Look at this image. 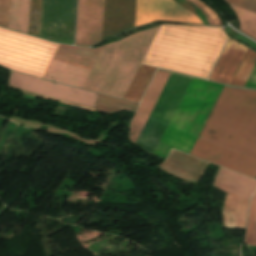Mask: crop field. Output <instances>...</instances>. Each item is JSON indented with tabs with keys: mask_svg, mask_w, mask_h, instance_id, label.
<instances>
[{
	"mask_svg": "<svg viewBox=\"0 0 256 256\" xmlns=\"http://www.w3.org/2000/svg\"><path fill=\"white\" fill-rule=\"evenodd\" d=\"M199 137L190 155L256 178V92L224 87Z\"/></svg>",
	"mask_w": 256,
	"mask_h": 256,
	"instance_id": "1",
	"label": "crop field"
},
{
	"mask_svg": "<svg viewBox=\"0 0 256 256\" xmlns=\"http://www.w3.org/2000/svg\"><path fill=\"white\" fill-rule=\"evenodd\" d=\"M227 39L222 28L161 25L142 64L208 78Z\"/></svg>",
	"mask_w": 256,
	"mask_h": 256,
	"instance_id": "2",
	"label": "crop field"
},
{
	"mask_svg": "<svg viewBox=\"0 0 256 256\" xmlns=\"http://www.w3.org/2000/svg\"><path fill=\"white\" fill-rule=\"evenodd\" d=\"M157 29L103 46L92 70L132 80ZM93 71L83 89L123 98L131 81Z\"/></svg>",
	"mask_w": 256,
	"mask_h": 256,
	"instance_id": "3",
	"label": "crop field"
},
{
	"mask_svg": "<svg viewBox=\"0 0 256 256\" xmlns=\"http://www.w3.org/2000/svg\"><path fill=\"white\" fill-rule=\"evenodd\" d=\"M222 87L191 78L154 155L165 158L170 148L189 154Z\"/></svg>",
	"mask_w": 256,
	"mask_h": 256,
	"instance_id": "4",
	"label": "crop field"
},
{
	"mask_svg": "<svg viewBox=\"0 0 256 256\" xmlns=\"http://www.w3.org/2000/svg\"><path fill=\"white\" fill-rule=\"evenodd\" d=\"M59 45L0 28V64L44 77Z\"/></svg>",
	"mask_w": 256,
	"mask_h": 256,
	"instance_id": "5",
	"label": "crop field"
},
{
	"mask_svg": "<svg viewBox=\"0 0 256 256\" xmlns=\"http://www.w3.org/2000/svg\"><path fill=\"white\" fill-rule=\"evenodd\" d=\"M190 78L171 73L137 144L154 152Z\"/></svg>",
	"mask_w": 256,
	"mask_h": 256,
	"instance_id": "6",
	"label": "crop field"
},
{
	"mask_svg": "<svg viewBox=\"0 0 256 256\" xmlns=\"http://www.w3.org/2000/svg\"><path fill=\"white\" fill-rule=\"evenodd\" d=\"M102 47L91 50L84 47L61 45L54 61L70 64L73 66L91 70ZM52 62L45 78L57 82L82 87L89 70L73 67L70 65Z\"/></svg>",
	"mask_w": 256,
	"mask_h": 256,
	"instance_id": "7",
	"label": "crop field"
},
{
	"mask_svg": "<svg viewBox=\"0 0 256 256\" xmlns=\"http://www.w3.org/2000/svg\"><path fill=\"white\" fill-rule=\"evenodd\" d=\"M76 0H43L40 37L73 44Z\"/></svg>",
	"mask_w": 256,
	"mask_h": 256,
	"instance_id": "8",
	"label": "crop field"
},
{
	"mask_svg": "<svg viewBox=\"0 0 256 256\" xmlns=\"http://www.w3.org/2000/svg\"><path fill=\"white\" fill-rule=\"evenodd\" d=\"M9 86L93 108L97 96L96 93L56 84L16 72H12Z\"/></svg>",
	"mask_w": 256,
	"mask_h": 256,
	"instance_id": "9",
	"label": "crop field"
},
{
	"mask_svg": "<svg viewBox=\"0 0 256 256\" xmlns=\"http://www.w3.org/2000/svg\"><path fill=\"white\" fill-rule=\"evenodd\" d=\"M157 20L203 24L173 0H137L135 27Z\"/></svg>",
	"mask_w": 256,
	"mask_h": 256,
	"instance_id": "10",
	"label": "crop field"
},
{
	"mask_svg": "<svg viewBox=\"0 0 256 256\" xmlns=\"http://www.w3.org/2000/svg\"><path fill=\"white\" fill-rule=\"evenodd\" d=\"M103 0H78L75 44L100 42Z\"/></svg>",
	"mask_w": 256,
	"mask_h": 256,
	"instance_id": "11",
	"label": "crop field"
},
{
	"mask_svg": "<svg viewBox=\"0 0 256 256\" xmlns=\"http://www.w3.org/2000/svg\"><path fill=\"white\" fill-rule=\"evenodd\" d=\"M136 0H105L101 42L134 27Z\"/></svg>",
	"mask_w": 256,
	"mask_h": 256,
	"instance_id": "12",
	"label": "crop field"
},
{
	"mask_svg": "<svg viewBox=\"0 0 256 256\" xmlns=\"http://www.w3.org/2000/svg\"><path fill=\"white\" fill-rule=\"evenodd\" d=\"M170 73L157 70L136 114L134 115L131 126L129 139L136 143Z\"/></svg>",
	"mask_w": 256,
	"mask_h": 256,
	"instance_id": "13",
	"label": "crop field"
},
{
	"mask_svg": "<svg viewBox=\"0 0 256 256\" xmlns=\"http://www.w3.org/2000/svg\"><path fill=\"white\" fill-rule=\"evenodd\" d=\"M247 49L229 38L209 79L230 84Z\"/></svg>",
	"mask_w": 256,
	"mask_h": 256,
	"instance_id": "14",
	"label": "crop field"
},
{
	"mask_svg": "<svg viewBox=\"0 0 256 256\" xmlns=\"http://www.w3.org/2000/svg\"><path fill=\"white\" fill-rule=\"evenodd\" d=\"M205 162L171 150L167 160L158 166L173 175L197 182L207 164Z\"/></svg>",
	"mask_w": 256,
	"mask_h": 256,
	"instance_id": "15",
	"label": "crop field"
},
{
	"mask_svg": "<svg viewBox=\"0 0 256 256\" xmlns=\"http://www.w3.org/2000/svg\"><path fill=\"white\" fill-rule=\"evenodd\" d=\"M214 186L249 201L256 187V181L220 168Z\"/></svg>",
	"mask_w": 256,
	"mask_h": 256,
	"instance_id": "16",
	"label": "crop field"
},
{
	"mask_svg": "<svg viewBox=\"0 0 256 256\" xmlns=\"http://www.w3.org/2000/svg\"><path fill=\"white\" fill-rule=\"evenodd\" d=\"M249 202L227 193L223 218L224 227L245 228Z\"/></svg>",
	"mask_w": 256,
	"mask_h": 256,
	"instance_id": "17",
	"label": "crop field"
},
{
	"mask_svg": "<svg viewBox=\"0 0 256 256\" xmlns=\"http://www.w3.org/2000/svg\"><path fill=\"white\" fill-rule=\"evenodd\" d=\"M155 69L140 65L124 99L139 102Z\"/></svg>",
	"mask_w": 256,
	"mask_h": 256,
	"instance_id": "18",
	"label": "crop field"
},
{
	"mask_svg": "<svg viewBox=\"0 0 256 256\" xmlns=\"http://www.w3.org/2000/svg\"><path fill=\"white\" fill-rule=\"evenodd\" d=\"M137 104L99 95L97 97L96 109L97 112L113 114L118 111L126 110L132 111L135 109Z\"/></svg>",
	"mask_w": 256,
	"mask_h": 256,
	"instance_id": "19",
	"label": "crop field"
},
{
	"mask_svg": "<svg viewBox=\"0 0 256 256\" xmlns=\"http://www.w3.org/2000/svg\"><path fill=\"white\" fill-rule=\"evenodd\" d=\"M229 5L239 17L241 23L240 30L256 39V13L232 4Z\"/></svg>",
	"mask_w": 256,
	"mask_h": 256,
	"instance_id": "20",
	"label": "crop field"
},
{
	"mask_svg": "<svg viewBox=\"0 0 256 256\" xmlns=\"http://www.w3.org/2000/svg\"><path fill=\"white\" fill-rule=\"evenodd\" d=\"M255 63H256V53L248 49L231 84L244 86Z\"/></svg>",
	"mask_w": 256,
	"mask_h": 256,
	"instance_id": "21",
	"label": "crop field"
},
{
	"mask_svg": "<svg viewBox=\"0 0 256 256\" xmlns=\"http://www.w3.org/2000/svg\"><path fill=\"white\" fill-rule=\"evenodd\" d=\"M42 0H31L28 33L38 36L40 31Z\"/></svg>",
	"mask_w": 256,
	"mask_h": 256,
	"instance_id": "22",
	"label": "crop field"
},
{
	"mask_svg": "<svg viewBox=\"0 0 256 256\" xmlns=\"http://www.w3.org/2000/svg\"><path fill=\"white\" fill-rule=\"evenodd\" d=\"M245 241L249 245H256V192L254 193L250 203Z\"/></svg>",
	"mask_w": 256,
	"mask_h": 256,
	"instance_id": "23",
	"label": "crop field"
},
{
	"mask_svg": "<svg viewBox=\"0 0 256 256\" xmlns=\"http://www.w3.org/2000/svg\"><path fill=\"white\" fill-rule=\"evenodd\" d=\"M29 3H30V0L19 1L17 30L26 32V33H27V27H28Z\"/></svg>",
	"mask_w": 256,
	"mask_h": 256,
	"instance_id": "24",
	"label": "crop field"
},
{
	"mask_svg": "<svg viewBox=\"0 0 256 256\" xmlns=\"http://www.w3.org/2000/svg\"><path fill=\"white\" fill-rule=\"evenodd\" d=\"M191 1L207 18L210 25L222 26L219 17L200 0H186Z\"/></svg>",
	"mask_w": 256,
	"mask_h": 256,
	"instance_id": "25",
	"label": "crop field"
},
{
	"mask_svg": "<svg viewBox=\"0 0 256 256\" xmlns=\"http://www.w3.org/2000/svg\"><path fill=\"white\" fill-rule=\"evenodd\" d=\"M18 1L19 0H10L8 28L14 30H16L17 25Z\"/></svg>",
	"mask_w": 256,
	"mask_h": 256,
	"instance_id": "26",
	"label": "crop field"
},
{
	"mask_svg": "<svg viewBox=\"0 0 256 256\" xmlns=\"http://www.w3.org/2000/svg\"><path fill=\"white\" fill-rule=\"evenodd\" d=\"M9 0H0V26L7 28Z\"/></svg>",
	"mask_w": 256,
	"mask_h": 256,
	"instance_id": "27",
	"label": "crop field"
},
{
	"mask_svg": "<svg viewBox=\"0 0 256 256\" xmlns=\"http://www.w3.org/2000/svg\"><path fill=\"white\" fill-rule=\"evenodd\" d=\"M226 1L256 12V0H226Z\"/></svg>",
	"mask_w": 256,
	"mask_h": 256,
	"instance_id": "28",
	"label": "crop field"
},
{
	"mask_svg": "<svg viewBox=\"0 0 256 256\" xmlns=\"http://www.w3.org/2000/svg\"><path fill=\"white\" fill-rule=\"evenodd\" d=\"M245 86L256 88V65L250 74Z\"/></svg>",
	"mask_w": 256,
	"mask_h": 256,
	"instance_id": "29",
	"label": "crop field"
},
{
	"mask_svg": "<svg viewBox=\"0 0 256 256\" xmlns=\"http://www.w3.org/2000/svg\"><path fill=\"white\" fill-rule=\"evenodd\" d=\"M1 119H5L6 120V118H3V117H0Z\"/></svg>",
	"mask_w": 256,
	"mask_h": 256,
	"instance_id": "30",
	"label": "crop field"
}]
</instances>
